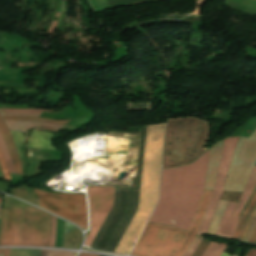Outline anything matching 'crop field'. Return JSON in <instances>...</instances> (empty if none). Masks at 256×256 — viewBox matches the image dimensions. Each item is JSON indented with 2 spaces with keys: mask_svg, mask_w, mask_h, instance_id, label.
Here are the masks:
<instances>
[{
  "mask_svg": "<svg viewBox=\"0 0 256 256\" xmlns=\"http://www.w3.org/2000/svg\"><path fill=\"white\" fill-rule=\"evenodd\" d=\"M209 151L191 165L163 170L159 203L149 221L187 231L202 195Z\"/></svg>",
  "mask_w": 256,
  "mask_h": 256,
  "instance_id": "obj_1",
  "label": "crop field"
},
{
  "mask_svg": "<svg viewBox=\"0 0 256 256\" xmlns=\"http://www.w3.org/2000/svg\"><path fill=\"white\" fill-rule=\"evenodd\" d=\"M165 124L147 126L138 209L115 252L128 254L157 202Z\"/></svg>",
  "mask_w": 256,
  "mask_h": 256,
  "instance_id": "obj_2",
  "label": "crop field"
},
{
  "mask_svg": "<svg viewBox=\"0 0 256 256\" xmlns=\"http://www.w3.org/2000/svg\"><path fill=\"white\" fill-rule=\"evenodd\" d=\"M213 190H204L200 205L188 232L147 223L132 256H182L196 234Z\"/></svg>",
  "mask_w": 256,
  "mask_h": 256,
  "instance_id": "obj_3",
  "label": "crop field"
},
{
  "mask_svg": "<svg viewBox=\"0 0 256 256\" xmlns=\"http://www.w3.org/2000/svg\"><path fill=\"white\" fill-rule=\"evenodd\" d=\"M210 130L208 122L194 117L167 119L162 169L196 160Z\"/></svg>",
  "mask_w": 256,
  "mask_h": 256,
  "instance_id": "obj_4",
  "label": "crop field"
},
{
  "mask_svg": "<svg viewBox=\"0 0 256 256\" xmlns=\"http://www.w3.org/2000/svg\"><path fill=\"white\" fill-rule=\"evenodd\" d=\"M41 211L34 208H2L0 246H49L52 216Z\"/></svg>",
  "mask_w": 256,
  "mask_h": 256,
  "instance_id": "obj_5",
  "label": "crop field"
},
{
  "mask_svg": "<svg viewBox=\"0 0 256 256\" xmlns=\"http://www.w3.org/2000/svg\"><path fill=\"white\" fill-rule=\"evenodd\" d=\"M145 130H143L140 154V167L137 189L115 187L114 206L95 238L91 248L114 252L138 204L139 185L144 149Z\"/></svg>",
  "mask_w": 256,
  "mask_h": 256,
  "instance_id": "obj_6",
  "label": "crop field"
},
{
  "mask_svg": "<svg viewBox=\"0 0 256 256\" xmlns=\"http://www.w3.org/2000/svg\"><path fill=\"white\" fill-rule=\"evenodd\" d=\"M34 189V188H33ZM38 206L87 228L85 195L48 193L34 189Z\"/></svg>",
  "mask_w": 256,
  "mask_h": 256,
  "instance_id": "obj_7",
  "label": "crop field"
},
{
  "mask_svg": "<svg viewBox=\"0 0 256 256\" xmlns=\"http://www.w3.org/2000/svg\"><path fill=\"white\" fill-rule=\"evenodd\" d=\"M255 160L256 131L250 138H239L223 190L242 192Z\"/></svg>",
  "mask_w": 256,
  "mask_h": 256,
  "instance_id": "obj_8",
  "label": "crop field"
},
{
  "mask_svg": "<svg viewBox=\"0 0 256 256\" xmlns=\"http://www.w3.org/2000/svg\"><path fill=\"white\" fill-rule=\"evenodd\" d=\"M237 138H228L226 140H224V144H223V149H222V155H221V161H220V165L218 168V173H217V178H216V183H215V187H214V192L211 196L210 202L208 204L207 210L204 214L201 226L192 242V244L190 245V247L188 248L187 252L185 253L184 256H192V254L194 253L195 249L197 248V246L199 245V243L202 240V237L200 236L203 233H206L208 226L210 224L212 215L214 213L215 207L219 201L221 192H222V188L224 185V181L226 178V174H227V170H228V166H229V162L232 156V153L236 147Z\"/></svg>",
  "mask_w": 256,
  "mask_h": 256,
  "instance_id": "obj_9",
  "label": "crop field"
},
{
  "mask_svg": "<svg viewBox=\"0 0 256 256\" xmlns=\"http://www.w3.org/2000/svg\"><path fill=\"white\" fill-rule=\"evenodd\" d=\"M88 195L91 231L86 238V245L91 246L113 206L114 187H91L88 188Z\"/></svg>",
  "mask_w": 256,
  "mask_h": 256,
  "instance_id": "obj_10",
  "label": "crop field"
},
{
  "mask_svg": "<svg viewBox=\"0 0 256 256\" xmlns=\"http://www.w3.org/2000/svg\"><path fill=\"white\" fill-rule=\"evenodd\" d=\"M251 193H252V191L244 192L242 194L237 206H236V203H233V202L228 203L226 210L222 216L221 223L215 233L216 236L231 238L233 231L236 227V223L239 218V215L243 209V206H244L247 198L250 196ZM235 206H236L235 212L233 214L232 219L230 220L231 214H232Z\"/></svg>",
  "mask_w": 256,
  "mask_h": 256,
  "instance_id": "obj_11",
  "label": "crop field"
},
{
  "mask_svg": "<svg viewBox=\"0 0 256 256\" xmlns=\"http://www.w3.org/2000/svg\"><path fill=\"white\" fill-rule=\"evenodd\" d=\"M222 143L223 141L220 143H217L214 147L210 149V164H209V169H208L204 189H213L216 170L218 168L219 160H220Z\"/></svg>",
  "mask_w": 256,
  "mask_h": 256,
  "instance_id": "obj_12",
  "label": "crop field"
},
{
  "mask_svg": "<svg viewBox=\"0 0 256 256\" xmlns=\"http://www.w3.org/2000/svg\"><path fill=\"white\" fill-rule=\"evenodd\" d=\"M0 133L5 141L7 149L12 157V162H13V166L15 168L16 173L23 174L13 138L1 117H0Z\"/></svg>",
  "mask_w": 256,
  "mask_h": 256,
  "instance_id": "obj_13",
  "label": "crop field"
},
{
  "mask_svg": "<svg viewBox=\"0 0 256 256\" xmlns=\"http://www.w3.org/2000/svg\"><path fill=\"white\" fill-rule=\"evenodd\" d=\"M82 234L78 228L65 222L62 247L78 248Z\"/></svg>",
  "mask_w": 256,
  "mask_h": 256,
  "instance_id": "obj_14",
  "label": "crop field"
},
{
  "mask_svg": "<svg viewBox=\"0 0 256 256\" xmlns=\"http://www.w3.org/2000/svg\"><path fill=\"white\" fill-rule=\"evenodd\" d=\"M51 136L52 134L47 132L32 131L28 147L56 150L51 144Z\"/></svg>",
  "mask_w": 256,
  "mask_h": 256,
  "instance_id": "obj_15",
  "label": "crop field"
},
{
  "mask_svg": "<svg viewBox=\"0 0 256 256\" xmlns=\"http://www.w3.org/2000/svg\"><path fill=\"white\" fill-rule=\"evenodd\" d=\"M8 127L11 130H27L30 127L34 126H44V127H52L55 130H50L46 128H35L34 130H50V131H57L59 128L63 127L64 125L60 124H50V123H35V122H16V121H6Z\"/></svg>",
  "mask_w": 256,
  "mask_h": 256,
  "instance_id": "obj_16",
  "label": "crop field"
},
{
  "mask_svg": "<svg viewBox=\"0 0 256 256\" xmlns=\"http://www.w3.org/2000/svg\"><path fill=\"white\" fill-rule=\"evenodd\" d=\"M256 205V193L252 199V201L250 202V204L248 205V207L246 208L243 216L241 217V219L239 220V223L235 229V232L233 235H235L234 238H237L239 239L244 228H245V224H246V220H247V217L249 215V213L252 211V209L254 208V206Z\"/></svg>",
  "mask_w": 256,
  "mask_h": 256,
  "instance_id": "obj_17",
  "label": "crop field"
},
{
  "mask_svg": "<svg viewBox=\"0 0 256 256\" xmlns=\"http://www.w3.org/2000/svg\"><path fill=\"white\" fill-rule=\"evenodd\" d=\"M226 201H222L220 200L219 201V204H218V207L215 211V214L212 218V221H211V224L209 226V229L207 231V233H210V234H214L216 229H217V226H218V223H219V219H220V216L222 214V211L225 209L226 207Z\"/></svg>",
  "mask_w": 256,
  "mask_h": 256,
  "instance_id": "obj_18",
  "label": "crop field"
},
{
  "mask_svg": "<svg viewBox=\"0 0 256 256\" xmlns=\"http://www.w3.org/2000/svg\"><path fill=\"white\" fill-rule=\"evenodd\" d=\"M254 190H256V187H255ZM255 225H256V207L253 210V212H252V214H251V216H250V218L248 220V223L246 225L245 232H244L243 237L241 238V241L246 242V243L249 242V240L251 238V235L253 233Z\"/></svg>",
  "mask_w": 256,
  "mask_h": 256,
  "instance_id": "obj_19",
  "label": "crop field"
},
{
  "mask_svg": "<svg viewBox=\"0 0 256 256\" xmlns=\"http://www.w3.org/2000/svg\"><path fill=\"white\" fill-rule=\"evenodd\" d=\"M4 120H17V121H36V122H52L66 124L69 121H54L51 119H41L39 117H19V116H3Z\"/></svg>",
  "mask_w": 256,
  "mask_h": 256,
  "instance_id": "obj_20",
  "label": "crop field"
},
{
  "mask_svg": "<svg viewBox=\"0 0 256 256\" xmlns=\"http://www.w3.org/2000/svg\"><path fill=\"white\" fill-rule=\"evenodd\" d=\"M11 193L25 201L37 204L38 200H36L34 197L29 195L25 190H19V189H13L11 190Z\"/></svg>",
  "mask_w": 256,
  "mask_h": 256,
  "instance_id": "obj_21",
  "label": "crop field"
},
{
  "mask_svg": "<svg viewBox=\"0 0 256 256\" xmlns=\"http://www.w3.org/2000/svg\"><path fill=\"white\" fill-rule=\"evenodd\" d=\"M41 111H52L43 109H0V113H41Z\"/></svg>",
  "mask_w": 256,
  "mask_h": 256,
  "instance_id": "obj_22",
  "label": "crop field"
},
{
  "mask_svg": "<svg viewBox=\"0 0 256 256\" xmlns=\"http://www.w3.org/2000/svg\"><path fill=\"white\" fill-rule=\"evenodd\" d=\"M0 149H1L3 155H4L5 159H6V163H7V166L9 168V170H10V173H15L14 172V168H13L12 163H11V160H10V157H9V154L7 152L6 146L4 144V141H3L2 137H1V135H0Z\"/></svg>",
  "mask_w": 256,
  "mask_h": 256,
  "instance_id": "obj_23",
  "label": "crop field"
},
{
  "mask_svg": "<svg viewBox=\"0 0 256 256\" xmlns=\"http://www.w3.org/2000/svg\"><path fill=\"white\" fill-rule=\"evenodd\" d=\"M255 184H256V167L254 166L244 191L253 190Z\"/></svg>",
  "mask_w": 256,
  "mask_h": 256,
  "instance_id": "obj_24",
  "label": "crop field"
},
{
  "mask_svg": "<svg viewBox=\"0 0 256 256\" xmlns=\"http://www.w3.org/2000/svg\"><path fill=\"white\" fill-rule=\"evenodd\" d=\"M10 132H11V134L13 135L15 144H16L17 149H18V152H19V156H20V158H21L22 155H21V152H20V149H19V146H18L17 141H19L20 146H22L23 139H24V135H23L22 132H18V131H10Z\"/></svg>",
  "mask_w": 256,
  "mask_h": 256,
  "instance_id": "obj_25",
  "label": "crop field"
},
{
  "mask_svg": "<svg viewBox=\"0 0 256 256\" xmlns=\"http://www.w3.org/2000/svg\"><path fill=\"white\" fill-rule=\"evenodd\" d=\"M74 255L75 254L60 252V251L42 250L41 252V256H74Z\"/></svg>",
  "mask_w": 256,
  "mask_h": 256,
  "instance_id": "obj_26",
  "label": "crop field"
},
{
  "mask_svg": "<svg viewBox=\"0 0 256 256\" xmlns=\"http://www.w3.org/2000/svg\"><path fill=\"white\" fill-rule=\"evenodd\" d=\"M209 243L210 240L203 239V241L200 243L199 247L197 248L193 256H201Z\"/></svg>",
  "mask_w": 256,
  "mask_h": 256,
  "instance_id": "obj_27",
  "label": "crop field"
},
{
  "mask_svg": "<svg viewBox=\"0 0 256 256\" xmlns=\"http://www.w3.org/2000/svg\"><path fill=\"white\" fill-rule=\"evenodd\" d=\"M56 223H57V218L53 216L50 246H53L55 242Z\"/></svg>",
  "mask_w": 256,
  "mask_h": 256,
  "instance_id": "obj_28",
  "label": "crop field"
},
{
  "mask_svg": "<svg viewBox=\"0 0 256 256\" xmlns=\"http://www.w3.org/2000/svg\"><path fill=\"white\" fill-rule=\"evenodd\" d=\"M0 165H1V168H2V170H3L5 179L10 180V174H9V172H8V169H7V167H6V163H5V161H4V159H3L2 155H1V153H0Z\"/></svg>",
  "mask_w": 256,
  "mask_h": 256,
  "instance_id": "obj_29",
  "label": "crop field"
},
{
  "mask_svg": "<svg viewBox=\"0 0 256 256\" xmlns=\"http://www.w3.org/2000/svg\"><path fill=\"white\" fill-rule=\"evenodd\" d=\"M218 244L216 242H211L206 252L203 254V256H211L212 252L214 251L215 247Z\"/></svg>",
  "mask_w": 256,
  "mask_h": 256,
  "instance_id": "obj_30",
  "label": "crop field"
},
{
  "mask_svg": "<svg viewBox=\"0 0 256 256\" xmlns=\"http://www.w3.org/2000/svg\"><path fill=\"white\" fill-rule=\"evenodd\" d=\"M226 244H219L215 251L213 252L212 256H220L225 248Z\"/></svg>",
  "mask_w": 256,
  "mask_h": 256,
  "instance_id": "obj_31",
  "label": "crop field"
},
{
  "mask_svg": "<svg viewBox=\"0 0 256 256\" xmlns=\"http://www.w3.org/2000/svg\"><path fill=\"white\" fill-rule=\"evenodd\" d=\"M10 249H0V256H9Z\"/></svg>",
  "mask_w": 256,
  "mask_h": 256,
  "instance_id": "obj_32",
  "label": "crop field"
},
{
  "mask_svg": "<svg viewBox=\"0 0 256 256\" xmlns=\"http://www.w3.org/2000/svg\"><path fill=\"white\" fill-rule=\"evenodd\" d=\"M246 256H256V249H249Z\"/></svg>",
  "mask_w": 256,
  "mask_h": 256,
  "instance_id": "obj_33",
  "label": "crop field"
},
{
  "mask_svg": "<svg viewBox=\"0 0 256 256\" xmlns=\"http://www.w3.org/2000/svg\"><path fill=\"white\" fill-rule=\"evenodd\" d=\"M255 240H256V227H255L254 233H253L252 238L249 243H253V242H255Z\"/></svg>",
  "mask_w": 256,
  "mask_h": 256,
  "instance_id": "obj_34",
  "label": "crop field"
},
{
  "mask_svg": "<svg viewBox=\"0 0 256 256\" xmlns=\"http://www.w3.org/2000/svg\"><path fill=\"white\" fill-rule=\"evenodd\" d=\"M1 115H30V116H39L40 114H1Z\"/></svg>",
  "mask_w": 256,
  "mask_h": 256,
  "instance_id": "obj_35",
  "label": "crop field"
},
{
  "mask_svg": "<svg viewBox=\"0 0 256 256\" xmlns=\"http://www.w3.org/2000/svg\"><path fill=\"white\" fill-rule=\"evenodd\" d=\"M79 256H95V255L80 254Z\"/></svg>",
  "mask_w": 256,
  "mask_h": 256,
  "instance_id": "obj_36",
  "label": "crop field"
},
{
  "mask_svg": "<svg viewBox=\"0 0 256 256\" xmlns=\"http://www.w3.org/2000/svg\"><path fill=\"white\" fill-rule=\"evenodd\" d=\"M221 256H230V255L223 252V254Z\"/></svg>",
  "mask_w": 256,
  "mask_h": 256,
  "instance_id": "obj_37",
  "label": "crop field"
},
{
  "mask_svg": "<svg viewBox=\"0 0 256 256\" xmlns=\"http://www.w3.org/2000/svg\"><path fill=\"white\" fill-rule=\"evenodd\" d=\"M0 177H1V178H3V175H2L1 169H0Z\"/></svg>",
  "mask_w": 256,
  "mask_h": 256,
  "instance_id": "obj_38",
  "label": "crop field"
},
{
  "mask_svg": "<svg viewBox=\"0 0 256 256\" xmlns=\"http://www.w3.org/2000/svg\"><path fill=\"white\" fill-rule=\"evenodd\" d=\"M0 198H1V196H0Z\"/></svg>",
  "mask_w": 256,
  "mask_h": 256,
  "instance_id": "obj_39",
  "label": "crop field"
},
{
  "mask_svg": "<svg viewBox=\"0 0 256 256\" xmlns=\"http://www.w3.org/2000/svg\"><path fill=\"white\" fill-rule=\"evenodd\" d=\"M233 256H235V255H233Z\"/></svg>",
  "mask_w": 256,
  "mask_h": 256,
  "instance_id": "obj_40",
  "label": "crop field"
}]
</instances>
